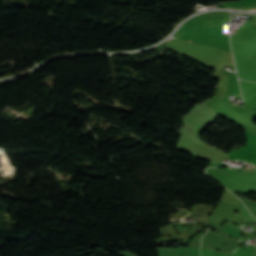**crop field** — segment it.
Listing matches in <instances>:
<instances>
[{"instance_id": "crop-field-1", "label": "crop field", "mask_w": 256, "mask_h": 256, "mask_svg": "<svg viewBox=\"0 0 256 256\" xmlns=\"http://www.w3.org/2000/svg\"><path fill=\"white\" fill-rule=\"evenodd\" d=\"M249 162H251V161H249ZM252 163V162H251Z\"/></svg>"}]
</instances>
